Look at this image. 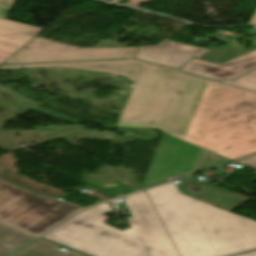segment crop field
<instances>
[{"label": "crop field", "instance_id": "1", "mask_svg": "<svg viewBox=\"0 0 256 256\" xmlns=\"http://www.w3.org/2000/svg\"><path fill=\"white\" fill-rule=\"evenodd\" d=\"M117 126L157 129L234 159L256 152V94L145 62Z\"/></svg>", "mask_w": 256, "mask_h": 256}, {"label": "crop field", "instance_id": "3", "mask_svg": "<svg viewBox=\"0 0 256 256\" xmlns=\"http://www.w3.org/2000/svg\"><path fill=\"white\" fill-rule=\"evenodd\" d=\"M146 192L181 256H215L190 206L196 200L179 193L173 182Z\"/></svg>", "mask_w": 256, "mask_h": 256}, {"label": "crop field", "instance_id": "2", "mask_svg": "<svg viewBox=\"0 0 256 256\" xmlns=\"http://www.w3.org/2000/svg\"><path fill=\"white\" fill-rule=\"evenodd\" d=\"M132 217L121 231L105 224L109 203L81 212L44 237L90 256H180L145 191L124 198ZM43 237V238H44Z\"/></svg>", "mask_w": 256, "mask_h": 256}, {"label": "crop field", "instance_id": "10", "mask_svg": "<svg viewBox=\"0 0 256 256\" xmlns=\"http://www.w3.org/2000/svg\"><path fill=\"white\" fill-rule=\"evenodd\" d=\"M144 62L137 60H112L97 62L59 63V64H34V65H11L0 66V69L32 68L47 66H62L75 69L95 70L122 75L135 81Z\"/></svg>", "mask_w": 256, "mask_h": 256}, {"label": "crop field", "instance_id": "13", "mask_svg": "<svg viewBox=\"0 0 256 256\" xmlns=\"http://www.w3.org/2000/svg\"><path fill=\"white\" fill-rule=\"evenodd\" d=\"M36 236L0 223V256H7Z\"/></svg>", "mask_w": 256, "mask_h": 256}, {"label": "crop field", "instance_id": "18", "mask_svg": "<svg viewBox=\"0 0 256 256\" xmlns=\"http://www.w3.org/2000/svg\"><path fill=\"white\" fill-rule=\"evenodd\" d=\"M149 1H151V0H130V2L127 3L126 5L139 8V6L141 4L149 2Z\"/></svg>", "mask_w": 256, "mask_h": 256}, {"label": "crop field", "instance_id": "11", "mask_svg": "<svg viewBox=\"0 0 256 256\" xmlns=\"http://www.w3.org/2000/svg\"><path fill=\"white\" fill-rule=\"evenodd\" d=\"M41 30L43 28L0 19V64L12 56Z\"/></svg>", "mask_w": 256, "mask_h": 256}, {"label": "crop field", "instance_id": "12", "mask_svg": "<svg viewBox=\"0 0 256 256\" xmlns=\"http://www.w3.org/2000/svg\"><path fill=\"white\" fill-rule=\"evenodd\" d=\"M234 35H235L234 32L218 29L214 39L218 41L226 42L228 44L224 48L211 47L212 49L206 52L202 57H200V59L221 64L237 56L253 51L252 49L253 47L243 51L248 39L245 40L242 47H240L236 39L234 38ZM249 40L253 44V46L256 48V38H251ZM233 51H236V53H232Z\"/></svg>", "mask_w": 256, "mask_h": 256}, {"label": "crop field", "instance_id": "4", "mask_svg": "<svg viewBox=\"0 0 256 256\" xmlns=\"http://www.w3.org/2000/svg\"><path fill=\"white\" fill-rule=\"evenodd\" d=\"M4 167L0 166V170ZM0 179V221L36 235L78 211Z\"/></svg>", "mask_w": 256, "mask_h": 256}, {"label": "crop field", "instance_id": "17", "mask_svg": "<svg viewBox=\"0 0 256 256\" xmlns=\"http://www.w3.org/2000/svg\"><path fill=\"white\" fill-rule=\"evenodd\" d=\"M237 162L242 164V165H245V166L256 169V155L244 158V159H242L240 161H237Z\"/></svg>", "mask_w": 256, "mask_h": 256}, {"label": "crop field", "instance_id": "6", "mask_svg": "<svg viewBox=\"0 0 256 256\" xmlns=\"http://www.w3.org/2000/svg\"><path fill=\"white\" fill-rule=\"evenodd\" d=\"M137 48H80L35 36L3 64L134 58Z\"/></svg>", "mask_w": 256, "mask_h": 256}, {"label": "crop field", "instance_id": "14", "mask_svg": "<svg viewBox=\"0 0 256 256\" xmlns=\"http://www.w3.org/2000/svg\"><path fill=\"white\" fill-rule=\"evenodd\" d=\"M58 246L55 243L39 238L13 256H85L72 250L60 251L56 249Z\"/></svg>", "mask_w": 256, "mask_h": 256}, {"label": "crop field", "instance_id": "20", "mask_svg": "<svg viewBox=\"0 0 256 256\" xmlns=\"http://www.w3.org/2000/svg\"><path fill=\"white\" fill-rule=\"evenodd\" d=\"M238 256H256V251L251 252V253H247V254H243V255H238Z\"/></svg>", "mask_w": 256, "mask_h": 256}, {"label": "crop field", "instance_id": "15", "mask_svg": "<svg viewBox=\"0 0 256 256\" xmlns=\"http://www.w3.org/2000/svg\"><path fill=\"white\" fill-rule=\"evenodd\" d=\"M227 84H231L256 92V71L248 73L236 80L230 81Z\"/></svg>", "mask_w": 256, "mask_h": 256}, {"label": "crop field", "instance_id": "7", "mask_svg": "<svg viewBox=\"0 0 256 256\" xmlns=\"http://www.w3.org/2000/svg\"><path fill=\"white\" fill-rule=\"evenodd\" d=\"M204 151L165 133L143 188L194 172Z\"/></svg>", "mask_w": 256, "mask_h": 256}, {"label": "crop field", "instance_id": "5", "mask_svg": "<svg viewBox=\"0 0 256 256\" xmlns=\"http://www.w3.org/2000/svg\"><path fill=\"white\" fill-rule=\"evenodd\" d=\"M216 256L256 248V222L202 202L191 205Z\"/></svg>", "mask_w": 256, "mask_h": 256}, {"label": "crop field", "instance_id": "19", "mask_svg": "<svg viewBox=\"0 0 256 256\" xmlns=\"http://www.w3.org/2000/svg\"><path fill=\"white\" fill-rule=\"evenodd\" d=\"M249 24L256 25V13H255V15L253 16V18L251 19V21H250Z\"/></svg>", "mask_w": 256, "mask_h": 256}, {"label": "crop field", "instance_id": "16", "mask_svg": "<svg viewBox=\"0 0 256 256\" xmlns=\"http://www.w3.org/2000/svg\"><path fill=\"white\" fill-rule=\"evenodd\" d=\"M16 0H0V18L7 19Z\"/></svg>", "mask_w": 256, "mask_h": 256}, {"label": "crop field", "instance_id": "8", "mask_svg": "<svg viewBox=\"0 0 256 256\" xmlns=\"http://www.w3.org/2000/svg\"><path fill=\"white\" fill-rule=\"evenodd\" d=\"M166 41L168 40L159 45L141 47L136 59L179 68L191 58H199L208 51L207 49L185 44H182L185 46L177 47L176 45L181 43L172 41L167 46H164Z\"/></svg>", "mask_w": 256, "mask_h": 256}, {"label": "crop field", "instance_id": "9", "mask_svg": "<svg viewBox=\"0 0 256 256\" xmlns=\"http://www.w3.org/2000/svg\"><path fill=\"white\" fill-rule=\"evenodd\" d=\"M253 68H256V50L221 65L194 59L181 70L227 81Z\"/></svg>", "mask_w": 256, "mask_h": 256}, {"label": "crop field", "instance_id": "21", "mask_svg": "<svg viewBox=\"0 0 256 256\" xmlns=\"http://www.w3.org/2000/svg\"><path fill=\"white\" fill-rule=\"evenodd\" d=\"M64 203L69 204V205L74 206V207H77V208H79V209L83 208V207H80V206H78V205L72 204V203L67 202V201H65Z\"/></svg>", "mask_w": 256, "mask_h": 256}]
</instances>
